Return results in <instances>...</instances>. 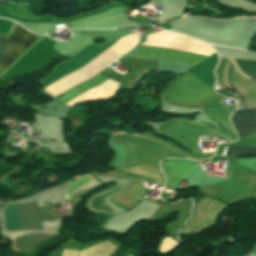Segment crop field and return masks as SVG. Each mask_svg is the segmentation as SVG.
Returning <instances> with one entry per match:
<instances>
[{"instance_id": "crop-field-8", "label": "crop field", "mask_w": 256, "mask_h": 256, "mask_svg": "<svg viewBox=\"0 0 256 256\" xmlns=\"http://www.w3.org/2000/svg\"><path fill=\"white\" fill-rule=\"evenodd\" d=\"M116 246L108 241L79 251L63 250V256H108Z\"/></svg>"}, {"instance_id": "crop-field-7", "label": "crop field", "mask_w": 256, "mask_h": 256, "mask_svg": "<svg viewBox=\"0 0 256 256\" xmlns=\"http://www.w3.org/2000/svg\"><path fill=\"white\" fill-rule=\"evenodd\" d=\"M51 236L43 234H26L24 236L14 239V246L16 252H30L38 244L48 240Z\"/></svg>"}, {"instance_id": "crop-field-6", "label": "crop field", "mask_w": 256, "mask_h": 256, "mask_svg": "<svg viewBox=\"0 0 256 256\" xmlns=\"http://www.w3.org/2000/svg\"><path fill=\"white\" fill-rule=\"evenodd\" d=\"M231 120L239 138L256 132L255 108L237 110Z\"/></svg>"}, {"instance_id": "crop-field-5", "label": "crop field", "mask_w": 256, "mask_h": 256, "mask_svg": "<svg viewBox=\"0 0 256 256\" xmlns=\"http://www.w3.org/2000/svg\"><path fill=\"white\" fill-rule=\"evenodd\" d=\"M193 166V161H182L174 159H168L165 161L162 168L166 174L170 188H176Z\"/></svg>"}, {"instance_id": "crop-field-16", "label": "crop field", "mask_w": 256, "mask_h": 256, "mask_svg": "<svg viewBox=\"0 0 256 256\" xmlns=\"http://www.w3.org/2000/svg\"><path fill=\"white\" fill-rule=\"evenodd\" d=\"M168 194V193H167ZM171 195V194H170Z\"/></svg>"}, {"instance_id": "crop-field-14", "label": "crop field", "mask_w": 256, "mask_h": 256, "mask_svg": "<svg viewBox=\"0 0 256 256\" xmlns=\"http://www.w3.org/2000/svg\"><path fill=\"white\" fill-rule=\"evenodd\" d=\"M98 173V172H97ZM98 174H101V173H98ZM102 175H106V176H112V175H116V174H112V175H107V173L106 174H102ZM116 176H119V175H116ZM116 176H113V177H116ZM121 177H124V176H121ZM125 178H127V179H134V178H129V177H126L125 176ZM135 180H137V179H135ZM131 181H134V180H131ZM139 181V180H138Z\"/></svg>"}, {"instance_id": "crop-field-17", "label": "crop field", "mask_w": 256, "mask_h": 256, "mask_svg": "<svg viewBox=\"0 0 256 256\" xmlns=\"http://www.w3.org/2000/svg\"><path fill=\"white\" fill-rule=\"evenodd\" d=\"M117 173H119V172H117Z\"/></svg>"}, {"instance_id": "crop-field-3", "label": "crop field", "mask_w": 256, "mask_h": 256, "mask_svg": "<svg viewBox=\"0 0 256 256\" xmlns=\"http://www.w3.org/2000/svg\"><path fill=\"white\" fill-rule=\"evenodd\" d=\"M38 35L32 34L24 28L15 25L10 37L7 40L5 37H0V74L6 70V68L15 61L24 51L34 44ZM14 63V62H13Z\"/></svg>"}, {"instance_id": "crop-field-9", "label": "crop field", "mask_w": 256, "mask_h": 256, "mask_svg": "<svg viewBox=\"0 0 256 256\" xmlns=\"http://www.w3.org/2000/svg\"><path fill=\"white\" fill-rule=\"evenodd\" d=\"M105 80H107V79L98 75L95 78H93L89 81H86V82L78 85L77 87L63 93L65 96L56 100V101L63 102V101H65V100H67V99H69V98H71V97H73V96H75V95H77V94H79V93H81V92H83V91H85V90H87V89L105 81Z\"/></svg>"}, {"instance_id": "crop-field-2", "label": "crop field", "mask_w": 256, "mask_h": 256, "mask_svg": "<svg viewBox=\"0 0 256 256\" xmlns=\"http://www.w3.org/2000/svg\"><path fill=\"white\" fill-rule=\"evenodd\" d=\"M24 230H42V221L55 220L53 216L38 207V200L21 204ZM20 204L5 209L6 230H23Z\"/></svg>"}, {"instance_id": "crop-field-1", "label": "crop field", "mask_w": 256, "mask_h": 256, "mask_svg": "<svg viewBox=\"0 0 256 256\" xmlns=\"http://www.w3.org/2000/svg\"><path fill=\"white\" fill-rule=\"evenodd\" d=\"M174 102H198L216 93L214 88L190 71L167 83L160 91Z\"/></svg>"}, {"instance_id": "crop-field-11", "label": "crop field", "mask_w": 256, "mask_h": 256, "mask_svg": "<svg viewBox=\"0 0 256 256\" xmlns=\"http://www.w3.org/2000/svg\"><path fill=\"white\" fill-rule=\"evenodd\" d=\"M256 154V148L228 146L226 155Z\"/></svg>"}, {"instance_id": "crop-field-13", "label": "crop field", "mask_w": 256, "mask_h": 256, "mask_svg": "<svg viewBox=\"0 0 256 256\" xmlns=\"http://www.w3.org/2000/svg\"><path fill=\"white\" fill-rule=\"evenodd\" d=\"M239 164L249 167L256 171V158H248V159L239 160Z\"/></svg>"}, {"instance_id": "crop-field-10", "label": "crop field", "mask_w": 256, "mask_h": 256, "mask_svg": "<svg viewBox=\"0 0 256 256\" xmlns=\"http://www.w3.org/2000/svg\"><path fill=\"white\" fill-rule=\"evenodd\" d=\"M233 59V58H232ZM236 61L238 67L242 72L249 75L252 78H256V61L233 59Z\"/></svg>"}, {"instance_id": "crop-field-15", "label": "crop field", "mask_w": 256, "mask_h": 256, "mask_svg": "<svg viewBox=\"0 0 256 256\" xmlns=\"http://www.w3.org/2000/svg\"><path fill=\"white\" fill-rule=\"evenodd\" d=\"M163 197V196H162ZM164 198V197H163ZM166 198V197H165Z\"/></svg>"}, {"instance_id": "crop-field-4", "label": "crop field", "mask_w": 256, "mask_h": 256, "mask_svg": "<svg viewBox=\"0 0 256 256\" xmlns=\"http://www.w3.org/2000/svg\"><path fill=\"white\" fill-rule=\"evenodd\" d=\"M133 56L169 59L194 65H198L199 63L210 57L187 51L159 47H139V49L134 53Z\"/></svg>"}, {"instance_id": "crop-field-12", "label": "crop field", "mask_w": 256, "mask_h": 256, "mask_svg": "<svg viewBox=\"0 0 256 256\" xmlns=\"http://www.w3.org/2000/svg\"><path fill=\"white\" fill-rule=\"evenodd\" d=\"M21 167H15L0 163V180H3L10 173L20 169Z\"/></svg>"}]
</instances>
